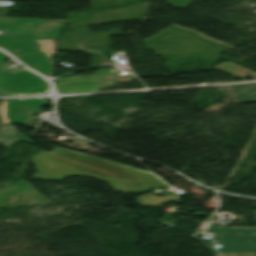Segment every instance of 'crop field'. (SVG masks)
<instances>
[{
	"mask_svg": "<svg viewBox=\"0 0 256 256\" xmlns=\"http://www.w3.org/2000/svg\"><path fill=\"white\" fill-rule=\"evenodd\" d=\"M3 117L0 119L1 123L10 124L6 119V100H1V115Z\"/></svg>",
	"mask_w": 256,
	"mask_h": 256,
	"instance_id": "16",
	"label": "crop field"
},
{
	"mask_svg": "<svg viewBox=\"0 0 256 256\" xmlns=\"http://www.w3.org/2000/svg\"><path fill=\"white\" fill-rule=\"evenodd\" d=\"M231 87L239 103L256 102V83Z\"/></svg>",
	"mask_w": 256,
	"mask_h": 256,
	"instance_id": "9",
	"label": "crop field"
},
{
	"mask_svg": "<svg viewBox=\"0 0 256 256\" xmlns=\"http://www.w3.org/2000/svg\"><path fill=\"white\" fill-rule=\"evenodd\" d=\"M56 30V29H53ZM38 31H45V30H38ZM32 32H36V31H30V32H26V33H18V34H27V33H32ZM7 35H16V34H7Z\"/></svg>",
	"mask_w": 256,
	"mask_h": 256,
	"instance_id": "19",
	"label": "crop field"
},
{
	"mask_svg": "<svg viewBox=\"0 0 256 256\" xmlns=\"http://www.w3.org/2000/svg\"><path fill=\"white\" fill-rule=\"evenodd\" d=\"M55 87L60 93L95 91L115 88L116 84L124 83L116 73H110L109 69L100 70L93 75L55 80Z\"/></svg>",
	"mask_w": 256,
	"mask_h": 256,
	"instance_id": "6",
	"label": "crop field"
},
{
	"mask_svg": "<svg viewBox=\"0 0 256 256\" xmlns=\"http://www.w3.org/2000/svg\"><path fill=\"white\" fill-rule=\"evenodd\" d=\"M254 79H256V76L255 77H253Z\"/></svg>",
	"mask_w": 256,
	"mask_h": 256,
	"instance_id": "22",
	"label": "crop field"
},
{
	"mask_svg": "<svg viewBox=\"0 0 256 256\" xmlns=\"http://www.w3.org/2000/svg\"><path fill=\"white\" fill-rule=\"evenodd\" d=\"M51 153L80 164L105 170L119 179H158L148 172L59 147H56Z\"/></svg>",
	"mask_w": 256,
	"mask_h": 256,
	"instance_id": "4",
	"label": "crop field"
},
{
	"mask_svg": "<svg viewBox=\"0 0 256 256\" xmlns=\"http://www.w3.org/2000/svg\"><path fill=\"white\" fill-rule=\"evenodd\" d=\"M0 95H1V93H0Z\"/></svg>",
	"mask_w": 256,
	"mask_h": 256,
	"instance_id": "23",
	"label": "crop field"
},
{
	"mask_svg": "<svg viewBox=\"0 0 256 256\" xmlns=\"http://www.w3.org/2000/svg\"><path fill=\"white\" fill-rule=\"evenodd\" d=\"M252 211L256 220V210ZM216 226V223H212L206 231L216 233L213 239H219V243L222 244V248L219 249L221 254L253 252L256 256V228Z\"/></svg>",
	"mask_w": 256,
	"mask_h": 256,
	"instance_id": "3",
	"label": "crop field"
},
{
	"mask_svg": "<svg viewBox=\"0 0 256 256\" xmlns=\"http://www.w3.org/2000/svg\"><path fill=\"white\" fill-rule=\"evenodd\" d=\"M134 187L135 193L147 192L148 188L166 185L162 181H124Z\"/></svg>",
	"mask_w": 256,
	"mask_h": 256,
	"instance_id": "12",
	"label": "crop field"
},
{
	"mask_svg": "<svg viewBox=\"0 0 256 256\" xmlns=\"http://www.w3.org/2000/svg\"><path fill=\"white\" fill-rule=\"evenodd\" d=\"M6 135V140L0 141V145L4 148L10 147L16 141H18L20 135L15 128L3 129Z\"/></svg>",
	"mask_w": 256,
	"mask_h": 256,
	"instance_id": "13",
	"label": "crop field"
},
{
	"mask_svg": "<svg viewBox=\"0 0 256 256\" xmlns=\"http://www.w3.org/2000/svg\"><path fill=\"white\" fill-rule=\"evenodd\" d=\"M60 32L61 30L16 36L0 35V48L48 78L52 64L45 60L44 53L37 50V40L59 39Z\"/></svg>",
	"mask_w": 256,
	"mask_h": 256,
	"instance_id": "2",
	"label": "crop field"
},
{
	"mask_svg": "<svg viewBox=\"0 0 256 256\" xmlns=\"http://www.w3.org/2000/svg\"><path fill=\"white\" fill-rule=\"evenodd\" d=\"M3 127H12L11 125L2 124Z\"/></svg>",
	"mask_w": 256,
	"mask_h": 256,
	"instance_id": "21",
	"label": "crop field"
},
{
	"mask_svg": "<svg viewBox=\"0 0 256 256\" xmlns=\"http://www.w3.org/2000/svg\"><path fill=\"white\" fill-rule=\"evenodd\" d=\"M14 18H2L0 17V24L11 25Z\"/></svg>",
	"mask_w": 256,
	"mask_h": 256,
	"instance_id": "17",
	"label": "crop field"
},
{
	"mask_svg": "<svg viewBox=\"0 0 256 256\" xmlns=\"http://www.w3.org/2000/svg\"><path fill=\"white\" fill-rule=\"evenodd\" d=\"M2 139H3V135H2V132L0 130V140H2Z\"/></svg>",
	"mask_w": 256,
	"mask_h": 256,
	"instance_id": "20",
	"label": "crop field"
},
{
	"mask_svg": "<svg viewBox=\"0 0 256 256\" xmlns=\"http://www.w3.org/2000/svg\"><path fill=\"white\" fill-rule=\"evenodd\" d=\"M173 198H175V200H173ZM136 199L141 206L161 207L164 203L176 202V195H163V197H158L154 194H150L143 197H137Z\"/></svg>",
	"mask_w": 256,
	"mask_h": 256,
	"instance_id": "11",
	"label": "crop field"
},
{
	"mask_svg": "<svg viewBox=\"0 0 256 256\" xmlns=\"http://www.w3.org/2000/svg\"><path fill=\"white\" fill-rule=\"evenodd\" d=\"M38 172L31 179L63 180L67 177L86 176L108 182L116 192H131V186L113 178L103 171L66 161L44 151L32 158Z\"/></svg>",
	"mask_w": 256,
	"mask_h": 256,
	"instance_id": "1",
	"label": "crop field"
},
{
	"mask_svg": "<svg viewBox=\"0 0 256 256\" xmlns=\"http://www.w3.org/2000/svg\"><path fill=\"white\" fill-rule=\"evenodd\" d=\"M9 58L0 52V91L10 94L21 89H29L48 84L47 81L22 68V70L16 73L2 70ZM48 89L49 85H46L13 94H40L46 93Z\"/></svg>",
	"mask_w": 256,
	"mask_h": 256,
	"instance_id": "5",
	"label": "crop field"
},
{
	"mask_svg": "<svg viewBox=\"0 0 256 256\" xmlns=\"http://www.w3.org/2000/svg\"><path fill=\"white\" fill-rule=\"evenodd\" d=\"M64 21L15 18L11 26L0 25L3 33H18L37 29L62 28Z\"/></svg>",
	"mask_w": 256,
	"mask_h": 256,
	"instance_id": "8",
	"label": "crop field"
},
{
	"mask_svg": "<svg viewBox=\"0 0 256 256\" xmlns=\"http://www.w3.org/2000/svg\"><path fill=\"white\" fill-rule=\"evenodd\" d=\"M54 45L52 41H38V49H41L42 52H45L47 60L50 61V55L53 53Z\"/></svg>",
	"mask_w": 256,
	"mask_h": 256,
	"instance_id": "14",
	"label": "crop field"
},
{
	"mask_svg": "<svg viewBox=\"0 0 256 256\" xmlns=\"http://www.w3.org/2000/svg\"><path fill=\"white\" fill-rule=\"evenodd\" d=\"M222 256H254L253 253H245V254H229V255H222Z\"/></svg>",
	"mask_w": 256,
	"mask_h": 256,
	"instance_id": "18",
	"label": "crop field"
},
{
	"mask_svg": "<svg viewBox=\"0 0 256 256\" xmlns=\"http://www.w3.org/2000/svg\"><path fill=\"white\" fill-rule=\"evenodd\" d=\"M215 68L218 70H221L223 72H226L228 74H231L233 76H236L240 79H247L256 74L253 71H250L246 68H243L241 66H238V65H236L234 63H230V62H224V63L216 66Z\"/></svg>",
	"mask_w": 256,
	"mask_h": 256,
	"instance_id": "10",
	"label": "crop field"
},
{
	"mask_svg": "<svg viewBox=\"0 0 256 256\" xmlns=\"http://www.w3.org/2000/svg\"><path fill=\"white\" fill-rule=\"evenodd\" d=\"M201 245H203L212 255L218 256L217 252L212 248V241L204 238L193 237Z\"/></svg>",
	"mask_w": 256,
	"mask_h": 256,
	"instance_id": "15",
	"label": "crop field"
},
{
	"mask_svg": "<svg viewBox=\"0 0 256 256\" xmlns=\"http://www.w3.org/2000/svg\"><path fill=\"white\" fill-rule=\"evenodd\" d=\"M45 98L9 100L8 116L12 123L23 124L42 111Z\"/></svg>",
	"mask_w": 256,
	"mask_h": 256,
	"instance_id": "7",
	"label": "crop field"
}]
</instances>
